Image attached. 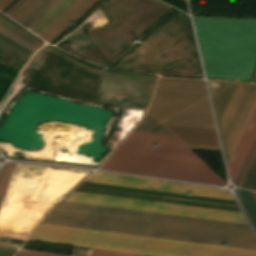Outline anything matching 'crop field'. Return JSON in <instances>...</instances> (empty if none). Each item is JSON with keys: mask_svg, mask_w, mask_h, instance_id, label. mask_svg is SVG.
Returning a JSON list of instances; mask_svg holds the SVG:
<instances>
[{"mask_svg": "<svg viewBox=\"0 0 256 256\" xmlns=\"http://www.w3.org/2000/svg\"><path fill=\"white\" fill-rule=\"evenodd\" d=\"M256 250L248 224L61 201L43 221Z\"/></svg>", "mask_w": 256, "mask_h": 256, "instance_id": "crop-field-2", "label": "crop field"}, {"mask_svg": "<svg viewBox=\"0 0 256 256\" xmlns=\"http://www.w3.org/2000/svg\"><path fill=\"white\" fill-rule=\"evenodd\" d=\"M85 181L136 187V188H144V189H152V190H160V191H168V192H176V193H184V194L192 193L196 195L234 200V198L231 196V194L227 190H220L218 188H214L210 186L138 178V177H131V176L101 172V171H96Z\"/></svg>", "mask_w": 256, "mask_h": 256, "instance_id": "crop-field-8", "label": "crop field"}, {"mask_svg": "<svg viewBox=\"0 0 256 256\" xmlns=\"http://www.w3.org/2000/svg\"><path fill=\"white\" fill-rule=\"evenodd\" d=\"M25 256H56V255H54V254H47V253H39V252L28 251Z\"/></svg>", "mask_w": 256, "mask_h": 256, "instance_id": "crop-field-24", "label": "crop field"}, {"mask_svg": "<svg viewBox=\"0 0 256 256\" xmlns=\"http://www.w3.org/2000/svg\"><path fill=\"white\" fill-rule=\"evenodd\" d=\"M50 0H38L31 8H29L21 17L16 21L22 25L28 21L34 14H36L43 6H45ZM57 0H51L45 7H43L36 15H34L23 26L26 28L33 23L40 15H42L50 6H52Z\"/></svg>", "mask_w": 256, "mask_h": 256, "instance_id": "crop-field-13", "label": "crop field"}, {"mask_svg": "<svg viewBox=\"0 0 256 256\" xmlns=\"http://www.w3.org/2000/svg\"><path fill=\"white\" fill-rule=\"evenodd\" d=\"M208 84L227 163L256 108V84L213 80Z\"/></svg>", "mask_w": 256, "mask_h": 256, "instance_id": "crop-field-5", "label": "crop field"}, {"mask_svg": "<svg viewBox=\"0 0 256 256\" xmlns=\"http://www.w3.org/2000/svg\"><path fill=\"white\" fill-rule=\"evenodd\" d=\"M165 126L174 132L183 143L219 145L215 129Z\"/></svg>", "mask_w": 256, "mask_h": 256, "instance_id": "crop-field-11", "label": "crop field"}, {"mask_svg": "<svg viewBox=\"0 0 256 256\" xmlns=\"http://www.w3.org/2000/svg\"><path fill=\"white\" fill-rule=\"evenodd\" d=\"M64 200L243 222L242 212L72 191Z\"/></svg>", "mask_w": 256, "mask_h": 256, "instance_id": "crop-field-6", "label": "crop field"}, {"mask_svg": "<svg viewBox=\"0 0 256 256\" xmlns=\"http://www.w3.org/2000/svg\"><path fill=\"white\" fill-rule=\"evenodd\" d=\"M251 193H252V195L254 196V198H255V200H256V192H252V191H251Z\"/></svg>", "mask_w": 256, "mask_h": 256, "instance_id": "crop-field-26", "label": "crop field"}, {"mask_svg": "<svg viewBox=\"0 0 256 256\" xmlns=\"http://www.w3.org/2000/svg\"><path fill=\"white\" fill-rule=\"evenodd\" d=\"M256 139V110L253 113L242 137L240 138L228 164L230 179L234 182L245 158Z\"/></svg>", "mask_w": 256, "mask_h": 256, "instance_id": "crop-field-9", "label": "crop field"}, {"mask_svg": "<svg viewBox=\"0 0 256 256\" xmlns=\"http://www.w3.org/2000/svg\"><path fill=\"white\" fill-rule=\"evenodd\" d=\"M0 45L18 53L21 54L27 58L33 53V51L21 46L20 44L6 38L5 36L0 34Z\"/></svg>", "mask_w": 256, "mask_h": 256, "instance_id": "crop-field-16", "label": "crop field"}, {"mask_svg": "<svg viewBox=\"0 0 256 256\" xmlns=\"http://www.w3.org/2000/svg\"><path fill=\"white\" fill-rule=\"evenodd\" d=\"M92 256H143V255H136V254H128V253H120V252H112V251H104V250L93 249Z\"/></svg>", "mask_w": 256, "mask_h": 256, "instance_id": "crop-field-19", "label": "crop field"}, {"mask_svg": "<svg viewBox=\"0 0 256 256\" xmlns=\"http://www.w3.org/2000/svg\"><path fill=\"white\" fill-rule=\"evenodd\" d=\"M0 20L4 23H6L7 25L11 26L12 28L16 29L17 31L21 32L22 34L26 35L27 37L31 38L32 40L36 41L37 43L41 44L43 42H41L40 40L36 39L35 37H33L32 35H30L29 33L25 32L24 30H22L21 28H19L18 26H16L14 23H12L11 21H9L8 19H6L5 17L0 15Z\"/></svg>", "mask_w": 256, "mask_h": 256, "instance_id": "crop-field-20", "label": "crop field"}, {"mask_svg": "<svg viewBox=\"0 0 256 256\" xmlns=\"http://www.w3.org/2000/svg\"><path fill=\"white\" fill-rule=\"evenodd\" d=\"M37 0H19L4 14L10 16L13 19H17L22 15L29 7H31Z\"/></svg>", "mask_w": 256, "mask_h": 256, "instance_id": "crop-field-15", "label": "crop field"}, {"mask_svg": "<svg viewBox=\"0 0 256 256\" xmlns=\"http://www.w3.org/2000/svg\"><path fill=\"white\" fill-rule=\"evenodd\" d=\"M33 240L151 256H256V251L40 223Z\"/></svg>", "mask_w": 256, "mask_h": 256, "instance_id": "crop-field-4", "label": "crop field"}, {"mask_svg": "<svg viewBox=\"0 0 256 256\" xmlns=\"http://www.w3.org/2000/svg\"><path fill=\"white\" fill-rule=\"evenodd\" d=\"M74 190L241 211L236 201L196 196V195L189 196L184 194H176V193H168V192L88 183V182H83Z\"/></svg>", "mask_w": 256, "mask_h": 256, "instance_id": "crop-field-7", "label": "crop field"}, {"mask_svg": "<svg viewBox=\"0 0 256 256\" xmlns=\"http://www.w3.org/2000/svg\"><path fill=\"white\" fill-rule=\"evenodd\" d=\"M157 83L148 110L163 124L215 128L203 80L160 78ZM191 152L175 136L132 131L101 168L225 184Z\"/></svg>", "mask_w": 256, "mask_h": 256, "instance_id": "crop-field-1", "label": "crop field"}, {"mask_svg": "<svg viewBox=\"0 0 256 256\" xmlns=\"http://www.w3.org/2000/svg\"><path fill=\"white\" fill-rule=\"evenodd\" d=\"M95 1L97 0H78L38 36L50 43Z\"/></svg>", "mask_w": 256, "mask_h": 256, "instance_id": "crop-field-10", "label": "crop field"}, {"mask_svg": "<svg viewBox=\"0 0 256 256\" xmlns=\"http://www.w3.org/2000/svg\"><path fill=\"white\" fill-rule=\"evenodd\" d=\"M13 164L14 163H10L7 170L5 171L2 179H1V183H0V200H1V197H2V194H3V191L5 189V186H6V183H7V180L9 178V175H10V172H11V169L13 167Z\"/></svg>", "mask_w": 256, "mask_h": 256, "instance_id": "crop-field-21", "label": "crop field"}, {"mask_svg": "<svg viewBox=\"0 0 256 256\" xmlns=\"http://www.w3.org/2000/svg\"><path fill=\"white\" fill-rule=\"evenodd\" d=\"M243 187L256 190V161H255Z\"/></svg>", "mask_w": 256, "mask_h": 256, "instance_id": "crop-field-18", "label": "crop field"}, {"mask_svg": "<svg viewBox=\"0 0 256 256\" xmlns=\"http://www.w3.org/2000/svg\"><path fill=\"white\" fill-rule=\"evenodd\" d=\"M0 33L3 34V35H5L6 37H8V38H10V39H12V40H14V41L20 43V44H22V45H24V46H26V47L32 49V50H36V49L38 48V47L32 45L31 43L25 41L24 39L18 37L17 35L11 33L10 31L4 29V28L1 27V26H0Z\"/></svg>", "mask_w": 256, "mask_h": 256, "instance_id": "crop-field-17", "label": "crop field"}, {"mask_svg": "<svg viewBox=\"0 0 256 256\" xmlns=\"http://www.w3.org/2000/svg\"><path fill=\"white\" fill-rule=\"evenodd\" d=\"M255 149H256V141H255V143H254V145H253V147H252V149H251V151H250V153H249V155H248V157H247V159H246V161H245V163H244V165H243V167H242V169H241V171H240V173H239V175H238V177H237V179L235 181L236 185L238 184V182H239V180H240V178H241L245 168L247 167V165H248V163H249V161H250V159H251Z\"/></svg>", "mask_w": 256, "mask_h": 256, "instance_id": "crop-field-22", "label": "crop field"}, {"mask_svg": "<svg viewBox=\"0 0 256 256\" xmlns=\"http://www.w3.org/2000/svg\"><path fill=\"white\" fill-rule=\"evenodd\" d=\"M255 159H256V151H255V153H254V155H253V157H252V159H251V161H250V163H249V165H248V167H247V169H246V171H245V173H244V175H243V177H242V179H241V181L238 185L239 187H242V185H243V183H244V181H245V179H246V177H247Z\"/></svg>", "mask_w": 256, "mask_h": 256, "instance_id": "crop-field-23", "label": "crop field"}, {"mask_svg": "<svg viewBox=\"0 0 256 256\" xmlns=\"http://www.w3.org/2000/svg\"><path fill=\"white\" fill-rule=\"evenodd\" d=\"M13 0H0V11L9 5Z\"/></svg>", "mask_w": 256, "mask_h": 256, "instance_id": "crop-field-25", "label": "crop field"}, {"mask_svg": "<svg viewBox=\"0 0 256 256\" xmlns=\"http://www.w3.org/2000/svg\"><path fill=\"white\" fill-rule=\"evenodd\" d=\"M247 217L256 230V202L250 191L235 189L234 190Z\"/></svg>", "mask_w": 256, "mask_h": 256, "instance_id": "crop-field-14", "label": "crop field"}, {"mask_svg": "<svg viewBox=\"0 0 256 256\" xmlns=\"http://www.w3.org/2000/svg\"><path fill=\"white\" fill-rule=\"evenodd\" d=\"M206 77L249 81L256 19L193 17Z\"/></svg>", "mask_w": 256, "mask_h": 256, "instance_id": "crop-field-3", "label": "crop field"}, {"mask_svg": "<svg viewBox=\"0 0 256 256\" xmlns=\"http://www.w3.org/2000/svg\"><path fill=\"white\" fill-rule=\"evenodd\" d=\"M76 1L77 0H59L32 25H30L28 29L38 35Z\"/></svg>", "mask_w": 256, "mask_h": 256, "instance_id": "crop-field-12", "label": "crop field"}]
</instances>
